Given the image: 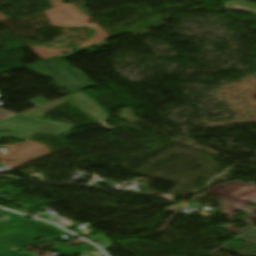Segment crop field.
<instances>
[{
  "label": "crop field",
  "instance_id": "6",
  "mask_svg": "<svg viewBox=\"0 0 256 256\" xmlns=\"http://www.w3.org/2000/svg\"><path fill=\"white\" fill-rule=\"evenodd\" d=\"M237 1H239V0H237ZM237 1L233 0V1L225 3L223 5L227 9L246 11V12H251V13H255L256 14V6H253V5H256V4L249 5V4H252V3L245 4V3H248V2L241 3V2H244V1H241V2H237ZM229 5H232V7H229Z\"/></svg>",
  "mask_w": 256,
  "mask_h": 256
},
{
  "label": "crop field",
  "instance_id": "3",
  "mask_svg": "<svg viewBox=\"0 0 256 256\" xmlns=\"http://www.w3.org/2000/svg\"><path fill=\"white\" fill-rule=\"evenodd\" d=\"M256 183L247 184L234 182L231 184H218L204 192L216 195L221 198V204L224 212L229 216V220H235L232 212L235 210H243L249 214L256 211V207L251 208L247 205H256Z\"/></svg>",
  "mask_w": 256,
  "mask_h": 256
},
{
  "label": "crop field",
  "instance_id": "12",
  "mask_svg": "<svg viewBox=\"0 0 256 256\" xmlns=\"http://www.w3.org/2000/svg\"><path fill=\"white\" fill-rule=\"evenodd\" d=\"M28 103H30L33 106L37 107V106H40L42 104L48 103V101L43 99V98H39V99H35V100H32V101H28Z\"/></svg>",
  "mask_w": 256,
  "mask_h": 256
},
{
  "label": "crop field",
  "instance_id": "2",
  "mask_svg": "<svg viewBox=\"0 0 256 256\" xmlns=\"http://www.w3.org/2000/svg\"><path fill=\"white\" fill-rule=\"evenodd\" d=\"M103 44H106V42L103 41L98 44L86 47L84 49L72 52L64 56L28 66V68L37 74L50 77L64 91H66L69 95H71L73 93L80 92L87 88H90L92 87V85L88 83L82 76H80L74 69H72L61 58L97 47Z\"/></svg>",
  "mask_w": 256,
  "mask_h": 256
},
{
  "label": "crop field",
  "instance_id": "7",
  "mask_svg": "<svg viewBox=\"0 0 256 256\" xmlns=\"http://www.w3.org/2000/svg\"><path fill=\"white\" fill-rule=\"evenodd\" d=\"M52 249L60 252L61 254H74V253H81L84 250H90L88 245L85 246H77V247H52Z\"/></svg>",
  "mask_w": 256,
  "mask_h": 256
},
{
  "label": "crop field",
  "instance_id": "4",
  "mask_svg": "<svg viewBox=\"0 0 256 256\" xmlns=\"http://www.w3.org/2000/svg\"><path fill=\"white\" fill-rule=\"evenodd\" d=\"M76 125L57 122L53 120L17 116L0 123V131L15 132L1 136L2 138L14 137L26 140L35 131L58 135L72 130Z\"/></svg>",
  "mask_w": 256,
  "mask_h": 256
},
{
  "label": "crop field",
  "instance_id": "1",
  "mask_svg": "<svg viewBox=\"0 0 256 256\" xmlns=\"http://www.w3.org/2000/svg\"><path fill=\"white\" fill-rule=\"evenodd\" d=\"M62 232L48 223L22 218L0 226V252L29 244L34 238H48Z\"/></svg>",
  "mask_w": 256,
  "mask_h": 256
},
{
  "label": "crop field",
  "instance_id": "11",
  "mask_svg": "<svg viewBox=\"0 0 256 256\" xmlns=\"http://www.w3.org/2000/svg\"><path fill=\"white\" fill-rule=\"evenodd\" d=\"M16 113L0 110V122L16 116Z\"/></svg>",
  "mask_w": 256,
  "mask_h": 256
},
{
  "label": "crop field",
  "instance_id": "9",
  "mask_svg": "<svg viewBox=\"0 0 256 256\" xmlns=\"http://www.w3.org/2000/svg\"><path fill=\"white\" fill-rule=\"evenodd\" d=\"M19 218H22V216L5 211L0 214V225L19 219Z\"/></svg>",
  "mask_w": 256,
  "mask_h": 256
},
{
  "label": "crop field",
  "instance_id": "13",
  "mask_svg": "<svg viewBox=\"0 0 256 256\" xmlns=\"http://www.w3.org/2000/svg\"><path fill=\"white\" fill-rule=\"evenodd\" d=\"M0 256H30V253L20 254L18 251L13 250V251L1 254Z\"/></svg>",
  "mask_w": 256,
  "mask_h": 256
},
{
  "label": "crop field",
  "instance_id": "15",
  "mask_svg": "<svg viewBox=\"0 0 256 256\" xmlns=\"http://www.w3.org/2000/svg\"><path fill=\"white\" fill-rule=\"evenodd\" d=\"M199 214H201V215H205V216H210V214L202 213V212H200Z\"/></svg>",
  "mask_w": 256,
  "mask_h": 256
},
{
  "label": "crop field",
  "instance_id": "8",
  "mask_svg": "<svg viewBox=\"0 0 256 256\" xmlns=\"http://www.w3.org/2000/svg\"><path fill=\"white\" fill-rule=\"evenodd\" d=\"M254 220H256V215H255V214H252V215H250V216L244 218V221H246V222H248V223L251 224V226L248 227L246 230H239V229H237V228H233V226H232V225H229V224L226 225V226H223V227H219V228L240 235V234H242L243 232H245V231H247L248 229H250L251 227H253V225H252L251 222L254 221Z\"/></svg>",
  "mask_w": 256,
  "mask_h": 256
},
{
  "label": "crop field",
  "instance_id": "14",
  "mask_svg": "<svg viewBox=\"0 0 256 256\" xmlns=\"http://www.w3.org/2000/svg\"><path fill=\"white\" fill-rule=\"evenodd\" d=\"M205 195H207V193H204V194H202V195H195V196H193V198H194L193 200L197 199V198L200 197V196H205ZM193 200H192V201H193Z\"/></svg>",
  "mask_w": 256,
  "mask_h": 256
},
{
  "label": "crop field",
  "instance_id": "10",
  "mask_svg": "<svg viewBox=\"0 0 256 256\" xmlns=\"http://www.w3.org/2000/svg\"><path fill=\"white\" fill-rule=\"evenodd\" d=\"M175 208H178V206H176V207L171 206V207L165 209V212H175L176 214L173 215L172 217H170V218L163 224V226H162L157 232H162L163 229H164L168 224H170V223L173 221L174 217L180 214V212L174 210Z\"/></svg>",
  "mask_w": 256,
  "mask_h": 256
},
{
  "label": "crop field",
  "instance_id": "5",
  "mask_svg": "<svg viewBox=\"0 0 256 256\" xmlns=\"http://www.w3.org/2000/svg\"><path fill=\"white\" fill-rule=\"evenodd\" d=\"M83 108H85L90 114L94 115L99 121L102 122V126L109 127L105 122L108 121L106 118L109 117L98 105H96L88 96L84 93H76L71 95Z\"/></svg>",
  "mask_w": 256,
  "mask_h": 256
}]
</instances>
